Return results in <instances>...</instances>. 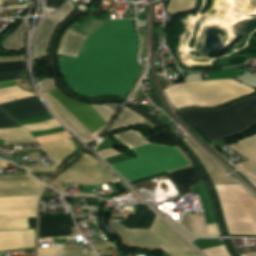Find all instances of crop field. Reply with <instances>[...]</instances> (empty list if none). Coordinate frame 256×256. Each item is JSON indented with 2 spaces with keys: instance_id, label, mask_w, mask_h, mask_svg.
Listing matches in <instances>:
<instances>
[{
  "instance_id": "1f2cbd36",
  "label": "crop field",
  "mask_w": 256,
  "mask_h": 256,
  "mask_svg": "<svg viewBox=\"0 0 256 256\" xmlns=\"http://www.w3.org/2000/svg\"><path fill=\"white\" fill-rule=\"evenodd\" d=\"M30 228H35L36 218H28Z\"/></svg>"
},
{
  "instance_id": "120bbe31",
  "label": "crop field",
  "mask_w": 256,
  "mask_h": 256,
  "mask_svg": "<svg viewBox=\"0 0 256 256\" xmlns=\"http://www.w3.org/2000/svg\"><path fill=\"white\" fill-rule=\"evenodd\" d=\"M74 9H75L74 6L72 5V3L69 0L68 4L63 9L54 13L50 17H52L53 19L62 23Z\"/></svg>"
},
{
  "instance_id": "5142ce71",
  "label": "crop field",
  "mask_w": 256,
  "mask_h": 256,
  "mask_svg": "<svg viewBox=\"0 0 256 256\" xmlns=\"http://www.w3.org/2000/svg\"><path fill=\"white\" fill-rule=\"evenodd\" d=\"M168 175L182 195L190 194L192 188L202 180L194 166L168 172Z\"/></svg>"
},
{
  "instance_id": "214f88e0",
  "label": "crop field",
  "mask_w": 256,
  "mask_h": 256,
  "mask_svg": "<svg viewBox=\"0 0 256 256\" xmlns=\"http://www.w3.org/2000/svg\"><path fill=\"white\" fill-rule=\"evenodd\" d=\"M56 21L52 18H46L39 29L37 38H36V45H35V58L41 57L45 55L47 41L54 30V28L58 25Z\"/></svg>"
},
{
  "instance_id": "73cf0c24",
  "label": "crop field",
  "mask_w": 256,
  "mask_h": 256,
  "mask_svg": "<svg viewBox=\"0 0 256 256\" xmlns=\"http://www.w3.org/2000/svg\"><path fill=\"white\" fill-rule=\"evenodd\" d=\"M17 85L15 80L0 82V88Z\"/></svg>"
},
{
  "instance_id": "c21b1889",
  "label": "crop field",
  "mask_w": 256,
  "mask_h": 256,
  "mask_svg": "<svg viewBox=\"0 0 256 256\" xmlns=\"http://www.w3.org/2000/svg\"><path fill=\"white\" fill-rule=\"evenodd\" d=\"M148 97L151 99V101L159 108L166 109L165 105L162 103L158 92L154 94H149Z\"/></svg>"
},
{
  "instance_id": "a9b5d70f",
  "label": "crop field",
  "mask_w": 256,
  "mask_h": 256,
  "mask_svg": "<svg viewBox=\"0 0 256 256\" xmlns=\"http://www.w3.org/2000/svg\"><path fill=\"white\" fill-rule=\"evenodd\" d=\"M144 120L145 119H143L139 115L135 114L134 112L124 107V109L121 111L120 115L118 116V118L116 119V121L114 122L110 130L107 132V134L123 126L131 125V124H141ZM121 123L122 125H119Z\"/></svg>"
},
{
  "instance_id": "1d83c4d3",
  "label": "crop field",
  "mask_w": 256,
  "mask_h": 256,
  "mask_svg": "<svg viewBox=\"0 0 256 256\" xmlns=\"http://www.w3.org/2000/svg\"><path fill=\"white\" fill-rule=\"evenodd\" d=\"M24 127L27 128L29 131H37L60 127V125L55 119H53L39 124L25 125Z\"/></svg>"
},
{
  "instance_id": "5866460e",
  "label": "crop field",
  "mask_w": 256,
  "mask_h": 256,
  "mask_svg": "<svg viewBox=\"0 0 256 256\" xmlns=\"http://www.w3.org/2000/svg\"><path fill=\"white\" fill-rule=\"evenodd\" d=\"M60 253V252H59ZM58 256H97L94 251L86 252V249L61 251Z\"/></svg>"
},
{
  "instance_id": "028f5c9d",
  "label": "crop field",
  "mask_w": 256,
  "mask_h": 256,
  "mask_svg": "<svg viewBox=\"0 0 256 256\" xmlns=\"http://www.w3.org/2000/svg\"><path fill=\"white\" fill-rule=\"evenodd\" d=\"M202 252L207 256H229L224 245L202 250Z\"/></svg>"
},
{
  "instance_id": "e1f06a70",
  "label": "crop field",
  "mask_w": 256,
  "mask_h": 256,
  "mask_svg": "<svg viewBox=\"0 0 256 256\" xmlns=\"http://www.w3.org/2000/svg\"><path fill=\"white\" fill-rule=\"evenodd\" d=\"M29 172H54L56 165L22 166Z\"/></svg>"
},
{
  "instance_id": "d3111659",
  "label": "crop field",
  "mask_w": 256,
  "mask_h": 256,
  "mask_svg": "<svg viewBox=\"0 0 256 256\" xmlns=\"http://www.w3.org/2000/svg\"><path fill=\"white\" fill-rule=\"evenodd\" d=\"M195 0H170L167 7L169 14H178L193 9Z\"/></svg>"
},
{
  "instance_id": "b80d0937",
  "label": "crop field",
  "mask_w": 256,
  "mask_h": 256,
  "mask_svg": "<svg viewBox=\"0 0 256 256\" xmlns=\"http://www.w3.org/2000/svg\"><path fill=\"white\" fill-rule=\"evenodd\" d=\"M24 71L25 70H23V71H12V72H1L0 73V81L19 78L24 73Z\"/></svg>"
},
{
  "instance_id": "cbeb9de0",
  "label": "crop field",
  "mask_w": 256,
  "mask_h": 256,
  "mask_svg": "<svg viewBox=\"0 0 256 256\" xmlns=\"http://www.w3.org/2000/svg\"><path fill=\"white\" fill-rule=\"evenodd\" d=\"M34 230L0 231V250L34 247Z\"/></svg>"
},
{
  "instance_id": "92a150f3",
  "label": "crop field",
  "mask_w": 256,
  "mask_h": 256,
  "mask_svg": "<svg viewBox=\"0 0 256 256\" xmlns=\"http://www.w3.org/2000/svg\"><path fill=\"white\" fill-rule=\"evenodd\" d=\"M189 222L191 230L196 236H221L218 225H206L205 218L191 216L189 213Z\"/></svg>"
},
{
  "instance_id": "d9b57169",
  "label": "crop field",
  "mask_w": 256,
  "mask_h": 256,
  "mask_svg": "<svg viewBox=\"0 0 256 256\" xmlns=\"http://www.w3.org/2000/svg\"><path fill=\"white\" fill-rule=\"evenodd\" d=\"M47 102L54 112L81 138L85 139L92 134L75 117H73L64 107H62L48 92L43 93Z\"/></svg>"
},
{
  "instance_id": "dafd665d",
  "label": "crop field",
  "mask_w": 256,
  "mask_h": 256,
  "mask_svg": "<svg viewBox=\"0 0 256 256\" xmlns=\"http://www.w3.org/2000/svg\"><path fill=\"white\" fill-rule=\"evenodd\" d=\"M85 39V37L69 31L65 41L63 40L64 43L62 42L63 45L61 44L59 53L77 57Z\"/></svg>"
},
{
  "instance_id": "34b2d1b8",
  "label": "crop field",
  "mask_w": 256,
  "mask_h": 256,
  "mask_svg": "<svg viewBox=\"0 0 256 256\" xmlns=\"http://www.w3.org/2000/svg\"><path fill=\"white\" fill-rule=\"evenodd\" d=\"M256 90L241 85L231 79L180 83L166 90V93L177 109L200 105L212 107L243 95L253 94Z\"/></svg>"
},
{
  "instance_id": "d32e631a",
  "label": "crop field",
  "mask_w": 256,
  "mask_h": 256,
  "mask_svg": "<svg viewBox=\"0 0 256 256\" xmlns=\"http://www.w3.org/2000/svg\"><path fill=\"white\" fill-rule=\"evenodd\" d=\"M26 69V61L10 62V63H1V71H11V70H22Z\"/></svg>"
},
{
  "instance_id": "8a807250",
  "label": "crop field",
  "mask_w": 256,
  "mask_h": 256,
  "mask_svg": "<svg viewBox=\"0 0 256 256\" xmlns=\"http://www.w3.org/2000/svg\"><path fill=\"white\" fill-rule=\"evenodd\" d=\"M139 43L133 21H109L87 37L77 58L59 59L60 66L78 93L124 98L140 72Z\"/></svg>"
},
{
  "instance_id": "03da06ac",
  "label": "crop field",
  "mask_w": 256,
  "mask_h": 256,
  "mask_svg": "<svg viewBox=\"0 0 256 256\" xmlns=\"http://www.w3.org/2000/svg\"><path fill=\"white\" fill-rule=\"evenodd\" d=\"M39 87L42 92L49 91L56 88L52 80H46L44 83L39 85Z\"/></svg>"
},
{
  "instance_id": "dbb93151",
  "label": "crop field",
  "mask_w": 256,
  "mask_h": 256,
  "mask_svg": "<svg viewBox=\"0 0 256 256\" xmlns=\"http://www.w3.org/2000/svg\"><path fill=\"white\" fill-rule=\"evenodd\" d=\"M6 164H9L8 162H5V161H2L0 160V168H6L7 165Z\"/></svg>"
},
{
  "instance_id": "1d79db26",
  "label": "crop field",
  "mask_w": 256,
  "mask_h": 256,
  "mask_svg": "<svg viewBox=\"0 0 256 256\" xmlns=\"http://www.w3.org/2000/svg\"><path fill=\"white\" fill-rule=\"evenodd\" d=\"M0 256H5L4 251H0Z\"/></svg>"
},
{
  "instance_id": "b54c1fbb",
  "label": "crop field",
  "mask_w": 256,
  "mask_h": 256,
  "mask_svg": "<svg viewBox=\"0 0 256 256\" xmlns=\"http://www.w3.org/2000/svg\"><path fill=\"white\" fill-rule=\"evenodd\" d=\"M98 153L101 155V157L103 159L108 158V157H112V156H115V155H118V154H122V153L117 152L113 149H108V150L101 151V152H98Z\"/></svg>"
},
{
  "instance_id": "4a817a6b",
  "label": "crop field",
  "mask_w": 256,
  "mask_h": 256,
  "mask_svg": "<svg viewBox=\"0 0 256 256\" xmlns=\"http://www.w3.org/2000/svg\"><path fill=\"white\" fill-rule=\"evenodd\" d=\"M42 147L58 166L75 150V145L68 139L42 144Z\"/></svg>"
},
{
  "instance_id": "4177f3b9",
  "label": "crop field",
  "mask_w": 256,
  "mask_h": 256,
  "mask_svg": "<svg viewBox=\"0 0 256 256\" xmlns=\"http://www.w3.org/2000/svg\"><path fill=\"white\" fill-rule=\"evenodd\" d=\"M31 96L34 95L22 90L18 86L3 88L0 89V104L13 101L14 98L18 100Z\"/></svg>"
},
{
  "instance_id": "ae1a2a85",
  "label": "crop field",
  "mask_w": 256,
  "mask_h": 256,
  "mask_svg": "<svg viewBox=\"0 0 256 256\" xmlns=\"http://www.w3.org/2000/svg\"><path fill=\"white\" fill-rule=\"evenodd\" d=\"M0 139H5V146L36 142L30 133L5 134Z\"/></svg>"
},
{
  "instance_id": "5d738f31",
  "label": "crop field",
  "mask_w": 256,
  "mask_h": 256,
  "mask_svg": "<svg viewBox=\"0 0 256 256\" xmlns=\"http://www.w3.org/2000/svg\"><path fill=\"white\" fill-rule=\"evenodd\" d=\"M65 0H46V7H59Z\"/></svg>"
},
{
  "instance_id": "eef30255",
  "label": "crop field",
  "mask_w": 256,
  "mask_h": 256,
  "mask_svg": "<svg viewBox=\"0 0 256 256\" xmlns=\"http://www.w3.org/2000/svg\"><path fill=\"white\" fill-rule=\"evenodd\" d=\"M115 137L118 138L120 141H122L131 149L141 145L151 143L148 140L142 138L135 130L125 132Z\"/></svg>"
},
{
  "instance_id": "bd1437ed",
  "label": "crop field",
  "mask_w": 256,
  "mask_h": 256,
  "mask_svg": "<svg viewBox=\"0 0 256 256\" xmlns=\"http://www.w3.org/2000/svg\"><path fill=\"white\" fill-rule=\"evenodd\" d=\"M90 106L103 119V121L106 124L115 112L112 109H110L104 105H90Z\"/></svg>"
},
{
  "instance_id": "bc2a9ffb",
  "label": "crop field",
  "mask_w": 256,
  "mask_h": 256,
  "mask_svg": "<svg viewBox=\"0 0 256 256\" xmlns=\"http://www.w3.org/2000/svg\"><path fill=\"white\" fill-rule=\"evenodd\" d=\"M155 216L156 215L153 214L149 209L141 208L138 206L135 214L127 215L123 225L128 228L149 229Z\"/></svg>"
},
{
  "instance_id": "dd49c442",
  "label": "crop field",
  "mask_w": 256,
  "mask_h": 256,
  "mask_svg": "<svg viewBox=\"0 0 256 256\" xmlns=\"http://www.w3.org/2000/svg\"><path fill=\"white\" fill-rule=\"evenodd\" d=\"M112 223L130 244L163 247L170 256H201L159 216H156L150 230L127 229L116 220Z\"/></svg>"
},
{
  "instance_id": "d8731c3e",
  "label": "crop field",
  "mask_w": 256,
  "mask_h": 256,
  "mask_svg": "<svg viewBox=\"0 0 256 256\" xmlns=\"http://www.w3.org/2000/svg\"><path fill=\"white\" fill-rule=\"evenodd\" d=\"M41 184L30 174L0 176V197L41 194Z\"/></svg>"
},
{
  "instance_id": "89e229c0",
  "label": "crop field",
  "mask_w": 256,
  "mask_h": 256,
  "mask_svg": "<svg viewBox=\"0 0 256 256\" xmlns=\"http://www.w3.org/2000/svg\"><path fill=\"white\" fill-rule=\"evenodd\" d=\"M103 130V128L97 132H95L94 134H92L91 136H89L88 138L85 139L86 142H90L92 140H94L96 137H98V135L100 134V132Z\"/></svg>"
},
{
  "instance_id": "f4fd0767",
  "label": "crop field",
  "mask_w": 256,
  "mask_h": 256,
  "mask_svg": "<svg viewBox=\"0 0 256 256\" xmlns=\"http://www.w3.org/2000/svg\"><path fill=\"white\" fill-rule=\"evenodd\" d=\"M230 234L256 235V198L240 185L215 186Z\"/></svg>"
},
{
  "instance_id": "22f410ed",
  "label": "crop field",
  "mask_w": 256,
  "mask_h": 256,
  "mask_svg": "<svg viewBox=\"0 0 256 256\" xmlns=\"http://www.w3.org/2000/svg\"><path fill=\"white\" fill-rule=\"evenodd\" d=\"M230 148L246 156L249 160L236 165L244 173L256 182V135L237 143L229 145Z\"/></svg>"
},
{
  "instance_id": "425ffa30",
  "label": "crop field",
  "mask_w": 256,
  "mask_h": 256,
  "mask_svg": "<svg viewBox=\"0 0 256 256\" xmlns=\"http://www.w3.org/2000/svg\"><path fill=\"white\" fill-rule=\"evenodd\" d=\"M21 132H27V131H25L23 128L0 130V134H5V133H21Z\"/></svg>"
},
{
  "instance_id": "ac0d7876",
  "label": "crop field",
  "mask_w": 256,
  "mask_h": 256,
  "mask_svg": "<svg viewBox=\"0 0 256 256\" xmlns=\"http://www.w3.org/2000/svg\"><path fill=\"white\" fill-rule=\"evenodd\" d=\"M180 113L213 144L225 137L245 132L256 124V96L220 109L191 108L180 110Z\"/></svg>"
},
{
  "instance_id": "c035e120",
  "label": "crop field",
  "mask_w": 256,
  "mask_h": 256,
  "mask_svg": "<svg viewBox=\"0 0 256 256\" xmlns=\"http://www.w3.org/2000/svg\"><path fill=\"white\" fill-rule=\"evenodd\" d=\"M61 247L39 248L38 256H55Z\"/></svg>"
},
{
  "instance_id": "412701ff",
  "label": "crop field",
  "mask_w": 256,
  "mask_h": 256,
  "mask_svg": "<svg viewBox=\"0 0 256 256\" xmlns=\"http://www.w3.org/2000/svg\"><path fill=\"white\" fill-rule=\"evenodd\" d=\"M132 151L138 157L112 164L129 182L190 165L175 147L149 144Z\"/></svg>"
},
{
  "instance_id": "0fb4a251",
  "label": "crop field",
  "mask_w": 256,
  "mask_h": 256,
  "mask_svg": "<svg viewBox=\"0 0 256 256\" xmlns=\"http://www.w3.org/2000/svg\"><path fill=\"white\" fill-rule=\"evenodd\" d=\"M241 256H256V252L248 253V254H242Z\"/></svg>"
},
{
  "instance_id": "9d1cf04e",
  "label": "crop field",
  "mask_w": 256,
  "mask_h": 256,
  "mask_svg": "<svg viewBox=\"0 0 256 256\" xmlns=\"http://www.w3.org/2000/svg\"><path fill=\"white\" fill-rule=\"evenodd\" d=\"M0 5H1V0H0Z\"/></svg>"
},
{
  "instance_id": "25e5ab78",
  "label": "crop field",
  "mask_w": 256,
  "mask_h": 256,
  "mask_svg": "<svg viewBox=\"0 0 256 256\" xmlns=\"http://www.w3.org/2000/svg\"><path fill=\"white\" fill-rule=\"evenodd\" d=\"M168 219V218H167ZM170 220V219H168ZM184 235H186L191 241L196 240L197 238H194L190 235H188L177 223H175L174 221L170 220Z\"/></svg>"
},
{
  "instance_id": "730fd06b",
  "label": "crop field",
  "mask_w": 256,
  "mask_h": 256,
  "mask_svg": "<svg viewBox=\"0 0 256 256\" xmlns=\"http://www.w3.org/2000/svg\"><path fill=\"white\" fill-rule=\"evenodd\" d=\"M26 20H24L21 26L7 38L3 46L8 49H20L24 47V35H25Z\"/></svg>"
},
{
  "instance_id": "733c2abd",
  "label": "crop field",
  "mask_w": 256,
  "mask_h": 256,
  "mask_svg": "<svg viewBox=\"0 0 256 256\" xmlns=\"http://www.w3.org/2000/svg\"><path fill=\"white\" fill-rule=\"evenodd\" d=\"M196 153L205 165L215 185L237 184L236 181L224 175L222 169L211 161L200 149H198L187 137L183 139Z\"/></svg>"
},
{
  "instance_id": "750c4746",
  "label": "crop field",
  "mask_w": 256,
  "mask_h": 256,
  "mask_svg": "<svg viewBox=\"0 0 256 256\" xmlns=\"http://www.w3.org/2000/svg\"><path fill=\"white\" fill-rule=\"evenodd\" d=\"M29 228L27 218L6 220V217H0V230Z\"/></svg>"
},
{
  "instance_id": "d23c7cc5",
  "label": "crop field",
  "mask_w": 256,
  "mask_h": 256,
  "mask_svg": "<svg viewBox=\"0 0 256 256\" xmlns=\"http://www.w3.org/2000/svg\"><path fill=\"white\" fill-rule=\"evenodd\" d=\"M25 60V56L0 57V62Z\"/></svg>"
},
{
  "instance_id": "28ad6ade",
  "label": "crop field",
  "mask_w": 256,
  "mask_h": 256,
  "mask_svg": "<svg viewBox=\"0 0 256 256\" xmlns=\"http://www.w3.org/2000/svg\"><path fill=\"white\" fill-rule=\"evenodd\" d=\"M8 114L16 120L30 119L48 114L37 96L0 105Z\"/></svg>"
},
{
  "instance_id": "e52e79f7",
  "label": "crop field",
  "mask_w": 256,
  "mask_h": 256,
  "mask_svg": "<svg viewBox=\"0 0 256 256\" xmlns=\"http://www.w3.org/2000/svg\"><path fill=\"white\" fill-rule=\"evenodd\" d=\"M59 175L67 183L77 182L82 185H101L120 181L100 162L86 154L70 169Z\"/></svg>"
},
{
  "instance_id": "3316defc",
  "label": "crop field",
  "mask_w": 256,
  "mask_h": 256,
  "mask_svg": "<svg viewBox=\"0 0 256 256\" xmlns=\"http://www.w3.org/2000/svg\"><path fill=\"white\" fill-rule=\"evenodd\" d=\"M40 195L0 198V216L7 219L36 217Z\"/></svg>"
},
{
  "instance_id": "0bd39190",
  "label": "crop field",
  "mask_w": 256,
  "mask_h": 256,
  "mask_svg": "<svg viewBox=\"0 0 256 256\" xmlns=\"http://www.w3.org/2000/svg\"><path fill=\"white\" fill-rule=\"evenodd\" d=\"M15 121H13L6 113L0 110V128L18 126Z\"/></svg>"
},
{
  "instance_id": "5a996713",
  "label": "crop field",
  "mask_w": 256,
  "mask_h": 256,
  "mask_svg": "<svg viewBox=\"0 0 256 256\" xmlns=\"http://www.w3.org/2000/svg\"><path fill=\"white\" fill-rule=\"evenodd\" d=\"M49 93L70 113L79 119L92 133L105 126L101 118L87 104L75 102L64 96L58 89Z\"/></svg>"
},
{
  "instance_id": "d1516ede",
  "label": "crop field",
  "mask_w": 256,
  "mask_h": 256,
  "mask_svg": "<svg viewBox=\"0 0 256 256\" xmlns=\"http://www.w3.org/2000/svg\"><path fill=\"white\" fill-rule=\"evenodd\" d=\"M69 227H76L71 214L40 217L39 237L70 236Z\"/></svg>"
},
{
  "instance_id": "00972430",
  "label": "crop field",
  "mask_w": 256,
  "mask_h": 256,
  "mask_svg": "<svg viewBox=\"0 0 256 256\" xmlns=\"http://www.w3.org/2000/svg\"><path fill=\"white\" fill-rule=\"evenodd\" d=\"M194 188H196L198 191L201 204L205 213L207 224L217 223L215 214L213 211L210 195L204 185L203 180L200 183H198Z\"/></svg>"
}]
</instances>
